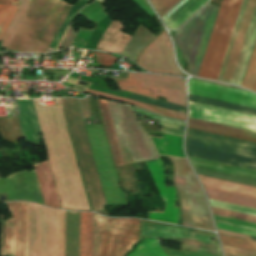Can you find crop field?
Wrapping results in <instances>:
<instances>
[{
	"label": "crop field",
	"mask_w": 256,
	"mask_h": 256,
	"mask_svg": "<svg viewBox=\"0 0 256 256\" xmlns=\"http://www.w3.org/2000/svg\"><path fill=\"white\" fill-rule=\"evenodd\" d=\"M71 5L61 0H29V8L8 50L46 52Z\"/></svg>",
	"instance_id": "1"
},
{
	"label": "crop field",
	"mask_w": 256,
	"mask_h": 256,
	"mask_svg": "<svg viewBox=\"0 0 256 256\" xmlns=\"http://www.w3.org/2000/svg\"><path fill=\"white\" fill-rule=\"evenodd\" d=\"M187 155L256 171V144L187 130Z\"/></svg>",
	"instance_id": "2"
},
{
	"label": "crop field",
	"mask_w": 256,
	"mask_h": 256,
	"mask_svg": "<svg viewBox=\"0 0 256 256\" xmlns=\"http://www.w3.org/2000/svg\"><path fill=\"white\" fill-rule=\"evenodd\" d=\"M255 38L256 0H243L217 80L241 85Z\"/></svg>",
	"instance_id": "3"
},
{
	"label": "crop field",
	"mask_w": 256,
	"mask_h": 256,
	"mask_svg": "<svg viewBox=\"0 0 256 256\" xmlns=\"http://www.w3.org/2000/svg\"><path fill=\"white\" fill-rule=\"evenodd\" d=\"M189 117L256 132V116L189 102ZM189 118L188 127L256 142V133Z\"/></svg>",
	"instance_id": "4"
},
{
	"label": "crop field",
	"mask_w": 256,
	"mask_h": 256,
	"mask_svg": "<svg viewBox=\"0 0 256 256\" xmlns=\"http://www.w3.org/2000/svg\"><path fill=\"white\" fill-rule=\"evenodd\" d=\"M218 8L208 3L172 36L190 67V74L198 75Z\"/></svg>",
	"instance_id": "5"
},
{
	"label": "crop field",
	"mask_w": 256,
	"mask_h": 256,
	"mask_svg": "<svg viewBox=\"0 0 256 256\" xmlns=\"http://www.w3.org/2000/svg\"><path fill=\"white\" fill-rule=\"evenodd\" d=\"M108 102L124 163H133L157 157L147 135L138 125L130 108Z\"/></svg>",
	"instance_id": "6"
},
{
	"label": "crop field",
	"mask_w": 256,
	"mask_h": 256,
	"mask_svg": "<svg viewBox=\"0 0 256 256\" xmlns=\"http://www.w3.org/2000/svg\"><path fill=\"white\" fill-rule=\"evenodd\" d=\"M174 184L182 201L183 225L214 231L200 190L186 160L171 158Z\"/></svg>",
	"instance_id": "7"
},
{
	"label": "crop field",
	"mask_w": 256,
	"mask_h": 256,
	"mask_svg": "<svg viewBox=\"0 0 256 256\" xmlns=\"http://www.w3.org/2000/svg\"><path fill=\"white\" fill-rule=\"evenodd\" d=\"M242 0H222L199 77L217 79Z\"/></svg>",
	"instance_id": "8"
},
{
	"label": "crop field",
	"mask_w": 256,
	"mask_h": 256,
	"mask_svg": "<svg viewBox=\"0 0 256 256\" xmlns=\"http://www.w3.org/2000/svg\"><path fill=\"white\" fill-rule=\"evenodd\" d=\"M139 220L106 218L100 215L99 256H123L138 241ZM99 215L94 213V249L98 256Z\"/></svg>",
	"instance_id": "9"
},
{
	"label": "crop field",
	"mask_w": 256,
	"mask_h": 256,
	"mask_svg": "<svg viewBox=\"0 0 256 256\" xmlns=\"http://www.w3.org/2000/svg\"><path fill=\"white\" fill-rule=\"evenodd\" d=\"M142 235L185 242L183 253L166 249L171 256H221L218 244L204 238L207 236L216 239L213 235L144 221H142Z\"/></svg>",
	"instance_id": "10"
},
{
	"label": "crop field",
	"mask_w": 256,
	"mask_h": 256,
	"mask_svg": "<svg viewBox=\"0 0 256 256\" xmlns=\"http://www.w3.org/2000/svg\"><path fill=\"white\" fill-rule=\"evenodd\" d=\"M111 79L119 80L124 91L126 92L138 95L141 94L154 99H158V97L156 96H163L168 102L185 106V82L183 79L151 74L128 73V80H130L140 89H145L153 92L152 95L156 96L150 95L151 92L140 90L127 79ZM119 81H116V83L119 89L123 90Z\"/></svg>",
	"instance_id": "11"
},
{
	"label": "crop field",
	"mask_w": 256,
	"mask_h": 256,
	"mask_svg": "<svg viewBox=\"0 0 256 256\" xmlns=\"http://www.w3.org/2000/svg\"><path fill=\"white\" fill-rule=\"evenodd\" d=\"M13 218L5 221L0 215L2 224L0 256H26L27 203H7Z\"/></svg>",
	"instance_id": "12"
},
{
	"label": "crop field",
	"mask_w": 256,
	"mask_h": 256,
	"mask_svg": "<svg viewBox=\"0 0 256 256\" xmlns=\"http://www.w3.org/2000/svg\"><path fill=\"white\" fill-rule=\"evenodd\" d=\"M137 64L150 72L183 76L174 63L171 43L165 31L142 52Z\"/></svg>",
	"instance_id": "13"
},
{
	"label": "crop field",
	"mask_w": 256,
	"mask_h": 256,
	"mask_svg": "<svg viewBox=\"0 0 256 256\" xmlns=\"http://www.w3.org/2000/svg\"><path fill=\"white\" fill-rule=\"evenodd\" d=\"M189 93L246 106L256 107V95L251 92L196 81L192 79L189 80Z\"/></svg>",
	"instance_id": "14"
},
{
	"label": "crop field",
	"mask_w": 256,
	"mask_h": 256,
	"mask_svg": "<svg viewBox=\"0 0 256 256\" xmlns=\"http://www.w3.org/2000/svg\"><path fill=\"white\" fill-rule=\"evenodd\" d=\"M179 1L180 0H151L161 18ZM207 1L208 0H181L162 19L168 29L176 30Z\"/></svg>",
	"instance_id": "15"
},
{
	"label": "crop field",
	"mask_w": 256,
	"mask_h": 256,
	"mask_svg": "<svg viewBox=\"0 0 256 256\" xmlns=\"http://www.w3.org/2000/svg\"><path fill=\"white\" fill-rule=\"evenodd\" d=\"M145 163L162 199L166 203L164 213L149 212V220L176 224L180 208L174 207V187H164V174L160 159L147 161Z\"/></svg>",
	"instance_id": "16"
},
{
	"label": "crop field",
	"mask_w": 256,
	"mask_h": 256,
	"mask_svg": "<svg viewBox=\"0 0 256 256\" xmlns=\"http://www.w3.org/2000/svg\"><path fill=\"white\" fill-rule=\"evenodd\" d=\"M20 127L26 142L41 143L40 126L34 108L33 100H17Z\"/></svg>",
	"instance_id": "17"
},
{
	"label": "crop field",
	"mask_w": 256,
	"mask_h": 256,
	"mask_svg": "<svg viewBox=\"0 0 256 256\" xmlns=\"http://www.w3.org/2000/svg\"><path fill=\"white\" fill-rule=\"evenodd\" d=\"M122 28L119 20L111 21L92 49L121 53L130 39V36L120 32Z\"/></svg>",
	"instance_id": "18"
},
{
	"label": "crop field",
	"mask_w": 256,
	"mask_h": 256,
	"mask_svg": "<svg viewBox=\"0 0 256 256\" xmlns=\"http://www.w3.org/2000/svg\"><path fill=\"white\" fill-rule=\"evenodd\" d=\"M36 171L44 203L52 207H60L57 193L54 187L48 162H42L33 165Z\"/></svg>",
	"instance_id": "19"
},
{
	"label": "crop field",
	"mask_w": 256,
	"mask_h": 256,
	"mask_svg": "<svg viewBox=\"0 0 256 256\" xmlns=\"http://www.w3.org/2000/svg\"><path fill=\"white\" fill-rule=\"evenodd\" d=\"M182 137L165 133L164 138L150 136L158 154L185 159L182 151Z\"/></svg>",
	"instance_id": "20"
},
{
	"label": "crop field",
	"mask_w": 256,
	"mask_h": 256,
	"mask_svg": "<svg viewBox=\"0 0 256 256\" xmlns=\"http://www.w3.org/2000/svg\"><path fill=\"white\" fill-rule=\"evenodd\" d=\"M193 167L256 181V172L188 157Z\"/></svg>",
	"instance_id": "21"
},
{
	"label": "crop field",
	"mask_w": 256,
	"mask_h": 256,
	"mask_svg": "<svg viewBox=\"0 0 256 256\" xmlns=\"http://www.w3.org/2000/svg\"><path fill=\"white\" fill-rule=\"evenodd\" d=\"M93 213L80 212L79 256H92Z\"/></svg>",
	"instance_id": "22"
},
{
	"label": "crop field",
	"mask_w": 256,
	"mask_h": 256,
	"mask_svg": "<svg viewBox=\"0 0 256 256\" xmlns=\"http://www.w3.org/2000/svg\"><path fill=\"white\" fill-rule=\"evenodd\" d=\"M97 100H98V104H99V107H100L103 122H104V125H105L108 140H109V143H110V147H111V150H112L115 165L116 166L122 165L124 163H123V159H122L121 152H120V149H119V145H118V141H117L116 134H115V131H114V127H113V124H112V120H111V117H110L107 102L104 101V100H99V99H97Z\"/></svg>",
	"instance_id": "23"
},
{
	"label": "crop field",
	"mask_w": 256,
	"mask_h": 256,
	"mask_svg": "<svg viewBox=\"0 0 256 256\" xmlns=\"http://www.w3.org/2000/svg\"><path fill=\"white\" fill-rule=\"evenodd\" d=\"M156 36L147 29L139 26L137 32L128 41L122 54L135 61L140 51L146 47Z\"/></svg>",
	"instance_id": "24"
},
{
	"label": "crop field",
	"mask_w": 256,
	"mask_h": 256,
	"mask_svg": "<svg viewBox=\"0 0 256 256\" xmlns=\"http://www.w3.org/2000/svg\"><path fill=\"white\" fill-rule=\"evenodd\" d=\"M203 186L256 197V188L198 175Z\"/></svg>",
	"instance_id": "25"
},
{
	"label": "crop field",
	"mask_w": 256,
	"mask_h": 256,
	"mask_svg": "<svg viewBox=\"0 0 256 256\" xmlns=\"http://www.w3.org/2000/svg\"><path fill=\"white\" fill-rule=\"evenodd\" d=\"M211 209H212V213L215 214V215H220V216H224V217H229V218H234V219H238V220H243V221L256 223V217L255 216L245 215V214L231 212V211L222 210V209H217V208H213V207H211ZM215 215H213V216H214L215 220L218 221V222L232 224V225L241 226V227L256 230V224L243 222V221H238V220L229 219V218H224V217L215 216Z\"/></svg>",
	"instance_id": "26"
},
{
	"label": "crop field",
	"mask_w": 256,
	"mask_h": 256,
	"mask_svg": "<svg viewBox=\"0 0 256 256\" xmlns=\"http://www.w3.org/2000/svg\"><path fill=\"white\" fill-rule=\"evenodd\" d=\"M208 197L256 209V199L204 187Z\"/></svg>",
	"instance_id": "27"
},
{
	"label": "crop field",
	"mask_w": 256,
	"mask_h": 256,
	"mask_svg": "<svg viewBox=\"0 0 256 256\" xmlns=\"http://www.w3.org/2000/svg\"><path fill=\"white\" fill-rule=\"evenodd\" d=\"M75 90L84 92L85 89L84 88H80V87H76ZM85 93H89V94L100 96V97H104V98L121 100V101L130 103L132 105H135V106H138V107L150 110V111H152L154 113H156V111H157V113L163 114V115H167V116H169V113H171L169 117L185 120V115L184 114H180V113H176V112H172V111L163 109V110L169 112V113H167V112H165V111H163V110H161V109H159L157 107H154L156 109V111H155L153 106H151V105L139 103V102H136V101L124 99V98H121V97H117V96H113V95H109V94H105V93H101V92H97V91H93V90H89V89H86Z\"/></svg>",
	"instance_id": "28"
},
{
	"label": "crop field",
	"mask_w": 256,
	"mask_h": 256,
	"mask_svg": "<svg viewBox=\"0 0 256 256\" xmlns=\"http://www.w3.org/2000/svg\"><path fill=\"white\" fill-rule=\"evenodd\" d=\"M0 133L5 141L16 143L22 137L18 117L0 118Z\"/></svg>",
	"instance_id": "29"
},
{
	"label": "crop field",
	"mask_w": 256,
	"mask_h": 256,
	"mask_svg": "<svg viewBox=\"0 0 256 256\" xmlns=\"http://www.w3.org/2000/svg\"><path fill=\"white\" fill-rule=\"evenodd\" d=\"M189 101L195 102V103H200V104H205L209 106H214V107H219L223 109H228L232 111H237V112H242L246 114H251V115H256V109L249 108V107H244L236 104H231L227 102H222L218 100H213L209 98H204L200 96H195L189 94Z\"/></svg>",
	"instance_id": "30"
},
{
	"label": "crop field",
	"mask_w": 256,
	"mask_h": 256,
	"mask_svg": "<svg viewBox=\"0 0 256 256\" xmlns=\"http://www.w3.org/2000/svg\"><path fill=\"white\" fill-rule=\"evenodd\" d=\"M135 249V248H134ZM128 256H167L159 245V242L154 239L145 238L141 241L136 249L129 253Z\"/></svg>",
	"instance_id": "31"
},
{
	"label": "crop field",
	"mask_w": 256,
	"mask_h": 256,
	"mask_svg": "<svg viewBox=\"0 0 256 256\" xmlns=\"http://www.w3.org/2000/svg\"><path fill=\"white\" fill-rule=\"evenodd\" d=\"M27 8L28 0H19V7L17 9V12L3 37L2 47H6V51L10 41L12 40L15 32L17 31L19 25L21 24L25 16Z\"/></svg>",
	"instance_id": "32"
},
{
	"label": "crop field",
	"mask_w": 256,
	"mask_h": 256,
	"mask_svg": "<svg viewBox=\"0 0 256 256\" xmlns=\"http://www.w3.org/2000/svg\"><path fill=\"white\" fill-rule=\"evenodd\" d=\"M18 6L0 5V40L9 26Z\"/></svg>",
	"instance_id": "33"
},
{
	"label": "crop field",
	"mask_w": 256,
	"mask_h": 256,
	"mask_svg": "<svg viewBox=\"0 0 256 256\" xmlns=\"http://www.w3.org/2000/svg\"><path fill=\"white\" fill-rule=\"evenodd\" d=\"M242 86L256 91V44Z\"/></svg>",
	"instance_id": "34"
},
{
	"label": "crop field",
	"mask_w": 256,
	"mask_h": 256,
	"mask_svg": "<svg viewBox=\"0 0 256 256\" xmlns=\"http://www.w3.org/2000/svg\"><path fill=\"white\" fill-rule=\"evenodd\" d=\"M220 234L221 242L228 245L256 250V241Z\"/></svg>",
	"instance_id": "35"
},
{
	"label": "crop field",
	"mask_w": 256,
	"mask_h": 256,
	"mask_svg": "<svg viewBox=\"0 0 256 256\" xmlns=\"http://www.w3.org/2000/svg\"><path fill=\"white\" fill-rule=\"evenodd\" d=\"M89 2V0H79L76 4H74L68 13L66 19L64 20L62 26L60 27L58 33L56 34L54 40L52 41L50 47L55 48L57 42L59 41L61 35L63 34L65 28L67 27L69 21L71 18L77 13V11L82 8L84 5H86Z\"/></svg>",
	"instance_id": "36"
},
{
	"label": "crop field",
	"mask_w": 256,
	"mask_h": 256,
	"mask_svg": "<svg viewBox=\"0 0 256 256\" xmlns=\"http://www.w3.org/2000/svg\"><path fill=\"white\" fill-rule=\"evenodd\" d=\"M137 101H141V102H145V103H148V104L160 106V107H163V108L171 109V110H174V111L181 112V113L185 114V107H183V106L174 105V104H170V103H167V102H161V101H158V100H154V99H150V98H146V97H142V96H139L137 98Z\"/></svg>",
	"instance_id": "37"
},
{
	"label": "crop field",
	"mask_w": 256,
	"mask_h": 256,
	"mask_svg": "<svg viewBox=\"0 0 256 256\" xmlns=\"http://www.w3.org/2000/svg\"><path fill=\"white\" fill-rule=\"evenodd\" d=\"M194 169H195L196 173H199V174L208 175V176H212V177L222 178V179H226V180H231V181H235V182H240V183L256 186L255 181L232 177V176L214 173V172H210V171L200 170V169H196V168H194Z\"/></svg>",
	"instance_id": "38"
},
{
	"label": "crop field",
	"mask_w": 256,
	"mask_h": 256,
	"mask_svg": "<svg viewBox=\"0 0 256 256\" xmlns=\"http://www.w3.org/2000/svg\"><path fill=\"white\" fill-rule=\"evenodd\" d=\"M223 245L226 256H256V251Z\"/></svg>",
	"instance_id": "39"
},
{
	"label": "crop field",
	"mask_w": 256,
	"mask_h": 256,
	"mask_svg": "<svg viewBox=\"0 0 256 256\" xmlns=\"http://www.w3.org/2000/svg\"><path fill=\"white\" fill-rule=\"evenodd\" d=\"M95 57L93 59L97 61L100 65L109 67L111 66L118 58L109 55V54H103V53H95Z\"/></svg>",
	"instance_id": "40"
},
{
	"label": "crop field",
	"mask_w": 256,
	"mask_h": 256,
	"mask_svg": "<svg viewBox=\"0 0 256 256\" xmlns=\"http://www.w3.org/2000/svg\"><path fill=\"white\" fill-rule=\"evenodd\" d=\"M216 224H217V227L220 228V229L256 236L255 231L245 230V229L236 228V227L227 226V225H222V224H218V223H216Z\"/></svg>",
	"instance_id": "41"
},
{
	"label": "crop field",
	"mask_w": 256,
	"mask_h": 256,
	"mask_svg": "<svg viewBox=\"0 0 256 256\" xmlns=\"http://www.w3.org/2000/svg\"><path fill=\"white\" fill-rule=\"evenodd\" d=\"M76 34L77 33L73 30V28L71 26L68 33L66 34L63 41L61 42L60 46L65 47V48H69V46L72 43L73 39L75 38Z\"/></svg>",
	"instance_id": "42"
},
{
	"label": "crop field",
	"mask_w": 256,
	"mask_h": 256,
	"mask_svg": "<svg viewBox=\"0 0 256 256\" xmlns=\"http://www.w3.org/2000/svg\"><path fill=\"white\" fill-rule=\"evenodd\" d=\"M79 101H80L82 113L90 115L88 98H86L84 100L79 99Z\"/></svg>",
	"instance_id": "43"
},
{
	"label": "crop field",
	"mask_w": 256,
	"mask_h": 256,
	"mask_svg": "<svg viewBox=\"0 0 256 256\" xmlns=\"http://www.w3.org/2000/svg\"><path fill=\"white\" fill-rule=\"evenodd\" d=\"M219 232L221 233H225V234H230V235H235V236H239V237H244V238H248V239H251L250 236H246V235H242V234H237V233H233V232H228V231H224V230H220L218 229ZM253 240H256L255 237H252Z\"/></svg>",
	"instance_id": "44"
},
{
	"label": "crop field",
	"mask_w": 256,
	"mask_h": 256,
	"mask_svg": "<svg viewBox=\"0 0 256 256\" xmlns=\"http://www.w3.org/2000/svg\"><path fill=\"white\" fill-rule=\"evenodd\" d=\"M132 109H133V111H135V110H134L135 108L132 107ZM137 110H138V109H137ZM135 112H137V111H135ZM137 113H139V112H137ZM142 113H143V112H142ZM142 113H140V114H142ZM145 113H146V112H145ZM148 114H149V113H148ZM142 115L147 116V115H145V114H142ZM151 115H152V114H151ZM151 115H150V116H151ZM150 116H147V117H150ZM153 116H154V115H153ZM150 118L155 119V120H159V121H163V120H164V119H163V120L156 119V118H153V117H150ZM165 119H166V118H165ZM167 121H168V120H167ZM167 121H163V122H167ZM169 123H174V124H178V125L184 126V123L177 122V121H172V120H170Z\"/></svg>",
	"instance_id": "45"
},
{
	"label": "crop field",
	"mask_w": 256,
	"mask_h": 256,
	"mask_svg": "<svg viewBox=\"0 0 256 256\" xmlns=\"http://www.w3.org/2000/svg\"><path fill=\"white\" fill-rule=\"evenodd\" d=\"M159 125L160 126H164V127H168V128H173V129H180V130H183V128H184L182 126H178V125H174V124H169V123H163V122H160Z\"/></svg>",
	"instance_id": "46"
},
{
	"label": "crop field",
	"mask_w": 256,
	"mask_h": 256,
	"mask_svg": "<svg viewBox=\"0 0 256 256\" xmlns=\"http://www.w3.org/2000/svg\"><path fill=\"white\" fill-rule=\"evenodd\" d=\"M161 132H167V133L183 135V133L180 132V131H176V130H172V129H168V128H164V127L161 128Z\"/></svg>",
	"instance_id": "47"
},
{
	"label": "crop field",
	"mask_w": 256,
	"mask_h": 256,
	"mask_svg": "<svg viewBox=\"0 0 256 256\" xmlns=\"http://www.w3.org/2000/svg\"><path fill=\"white\" fill-rule=\"evenodd\" d=\"M0 3L18 5V0H0Z\"/></svg>",
	"instance_id": "48"
}]
</instances>
